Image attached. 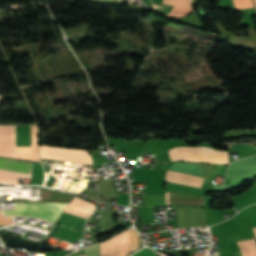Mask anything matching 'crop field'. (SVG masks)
<instances>
[{"instance_id":"8a807250","label":"crop field","mask_w":256,"mask_h":256,"mask_svg":"<svg viewBox=\"0 0 256 256\" xmlns=\"http://www.w3.org/2000/svg\"><path fill=\"white\" fill-rule=\"evenodd\" d=\"M171 160H187L194 162H209L227 164V151L215 150L207 147H180L169 151Z\"/></svg>"},{"instance_id":"ac0d7876","label":"crop field","mask_w":256,"mask_h":256,"mask_svg":"<svg viewBox=\"0 0 256 256\" xmlns=\"http://www.w3.org/2000/svg\"><path fill=\"white\" fill-rule=\"evenodd\" d=\"M68 203H15V210H3L6 216H32L54 223Z\"/></svg>"},{"instance_id":"34b2d1b8","label":"crop field","mask_w":256,"mask_h":256,"mask_svg":"<svg viewBox=\"0 0 256 256\" xmlns=\"http://www.w3.org/2000/svg\"><path fill=\"white\" fill-rule=\"evenodd\" d=\"M137 248H139L137 234L134 229H129L101 243L100 256H126Z\"/></svg>"},{"instance_id":"412701ff","label":"crop field","mask_w":256,"mask_h":256,"mask_svg":"<svg viewBox=\"0 0 256 256\" xmlns=\"http://www.w3.org/2000/svg\"><path fill=\"white\" fill-rule=\"evenodd\" d=\"M40 156L45 159L93 164L88 151L40 146Z\"/></svg>"},{"instance_id":"f4fd0767","label":"crop field","mask_w":256,"mask_h":256,"mask_svg":"<svg viewBox=\"0 0 256 256\" xmlns=\"http://www.w3.org/2000/svg\"><path fill=\"white\" fill-rule=\"evenodd\" d=\"M32 164L29 162H22L17 160H10L6 158H0V169L21 171L31 173ZM0 170V182L9 184H18L19 178H30L31 174Z\"/></svg>"},{"instance_id":"dd49c442","label":"crop field","mask_w":256,"mask_h":256,"mask_svg":"<svg viewBox=\"0 0 256 256\" xmlns=\"http://www.w3.org/2000/svg\"><path fill=\"white\" fill-rule=\"evenodd\" d=\"M12 152H16L14 126H0V156L16 158Z\"/></svg>"},{"instance_id":"e52e79f7","label":"crop field","mask_w":256,"mask_h":256,"mask_svg":"<svg viewBox=\"0 0 256 256\" xmlns=\"http://www.w3.org/2000/svg\"><path fill=\"white\" fill-rule=\"evenodd\" d=\"M205 198L202 196L184 194V193H168V205H201L204 206ZM167 204V193H166Z\"/></svg>"},{"instance_id":"d8731c3e","label":"crop field","mask_w":256,"mask_h":256,"mask_svg":"<svg viewBox=\"0 0 256 256\" xmlns=\"http://www.w3.org/2000/svg\"><path fill=\"white\" fill-rule=\"evenodd\" d=\"M94 207L95 205H92L76 197L65 209V211L83 218H88Z\"/></svg>"},{"instance_id":"5a996713","label":"crop field","mask_w":256,"mask_h":256,"mask_svg":"<svg viewBox=\"0 0 256 256\" xmlns=\"http://www.w3.org/2000/svg\"><path fill=\"white\" fill-rule=\"evenodd\" d=\"M191 0H163V3L173 5V6H182L189 7ZM194 7L190 6L189 9L174 7L171 13L167 18H176V17H184L191 13Z\"/></svg>"},{"instance_id":"3316defc","label":"crop field","mask_w":256,"mask_h":256,"mask_svg":"<svg viewBox=\"0 0 256 256\" xmlns=\"http://www.w3.org/2000/svg\"><path fill=\"white\" fill-rule=\"evenodd\" d=\"M233 2L236 9L254 7L252 0H233Z\"/></svg>"},{"instance_id":"28ad6ade","label":"crop field","mask_w":256,"mask_h":256,"mask_svg":"<svg viewBox=\"0 0 256 256\" xmlns=\"http://www.w3.org/2000/svg\"><path fill=\"white\" fill-rule=\"evenodd\" d=\"M86 256H99L98 244L86 248Z\"/></svg>"},{"instance_id":"d1516ede","label":"crop field","mask_w":256,"mask_h":256,"mask_svg":"<svg viewBox=\"0 0 256 256\" xmlns=\"http://www.w3.org/2000/svg\"><path fill=\"white\" fill-rule=\"evenodd\" d=\"M132 256H155L154 251L149 248H143L139 252L135 253Z\"/></svg>"},{"instance_id":"22f410ed","label":"crop field","mask_w":256,"mask_h":256,"mask_svg":"<svg viewBox=\"0 0 256 256\" xmlns=\"http://www.w3.org/2000/svg\"><path fill=\"white\" fill-rule=\"evenodd\" d=\"M12 224L11 218H4L3 215L0 212V225H10Z\"/></svg>"},{"instance_id":"cbeb9de0","label":"crop field","mask_w":256,"mask_h":256,"mask_svg":"<svg viewBox=\"0 0 256 256\" xmlns=\"http://www.w3.org/2000/svg\"><path fill=\"white\" fill-rule=\"evenodd\" d=\"M253 230H254V235H255V238H256V228H253Z\"/></svg>"},{"instance_id":"5142ce71","label":"crop field","mask_w":256,"mask_h":256,"mask_svg":"<svg viewBox=\"0 0 256 256\" xmlns=\"http://www.w3.org/2000/svg\"><path fill=\"white\" fill-rule=\"evenodd\" d=\"M254 3H255V5H256V0H254Z\"/></svg>"},{"instance_id":"d9b57169","label":"crop field","mask_w":256,"mask_h":256,"mask_svg":"<svg viewBox=\"0 0 256 256\" xmlns=\"http://www.w3.org/2000/svg\"><path fill=\"white\" fill-rule=\"evenodd\" d=\"M1 99H2V96H0V101H1Z\"/></svg>"},{"instance_id":"733c2abd","label":"crop field","mask_w":256,"mask_h":256,"mask_svg":"<svg viewBox=\"0 0 256 256\" xmlns=\"http://www.w3.org/2000/svg\"><path fill=\"white\" fill-rule=\"evenodd\" d=\"M118 1H122V0H118Z\"/></svg>"}]
</instances>
